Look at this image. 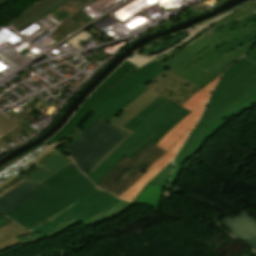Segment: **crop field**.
Wrapping results in <instances>:
<instances>
[{
	"mask_svg": "<svg viewBox=\"0 0 256 256\" xmlns=\"http://www.w3.org/2000/svg\"><path fill=\"white\" fill-rule=\"evenodd\" d=\"M127 61H129V62H131V63H133V64H135V65L141 67V66H143V65H145V64H147V63H149V62H151V61H153V60H150V59H148V58H146V57H143V56H141V55H138V54H136V53H133V54L127 59Z\"/></svg>",
	"mask_w": 256,
	"mask_h": 256,
	"instance_id": "750c4746",
	"label": "crop field"
},
{
	"mask_svg": "<svg viewBox=\"0 0 256 256\" xmlns=\"http://www.w3.org/2000/svg\"><path fill=\"white\" fill-rule=\"evenodd\" d=\"M255 41L252 43L236 50L233 51L227 56L223 57L219 62H217L215 65H213L211 68H209L207 71H205L203 74H201L199 77H197L195 80L192 82L196 83L200 87L204 86L207 84L209 81L214 79L216 76H218L223 68H225L232 60L235 61V59L243 56L249 48L253 45ZM223 71V70H222Z\"/></svg>",
	"mask_w": 256,
	"mask_h": 256,
	"instance_id": "5142ce71",
	"label": "crop field"
},
{
	"mask_svg": "<svg viewBox=\"0 0 256 256\" xmlns=\"http://www.w3.org/2000/svg\"><path fill=\"white\" fill-rule=\"evenodd\" d=\"M79 83H80V81L76 80L74 83L71 84V86L76 87Z\"/></svg>",
	"mask_w": 256,
	"mask_h": 256,
	"instance_id": "e1f06a70",
	"label": "crop field"
},
{
	"mask_svg": "<svg viewBox=\"0 0 256 256\" xmlns=\"http://www.w3.org/2000/svg\"><path fill=\"white\" fill-rule=\"evenodd\" d=\"M237 29L239 28L234 23H232L213 32L212 30H209L211 33H206L200 39L191 43L187 47H184L183 49L168 56L162 57L156 61L190 81L195 76L206 70L211 64L219 60L223 56V54L214 51L205 58H203L201 61L193 65L191 68L183 72L175 70V66L204 48L206 45Z\"/></svg>",
	"mask_w": 256,
	"mask_h": 256,
	"instance_id": "e52e79f7",
	"label": "crop field"
},
{
	"mask_svg": "<svg viewBox=\"0 0 256 256\" xmlns=\"http://www.w3.org/2000/svg\"><path fill=\"white\" fill-rule=\"evenodd\" d=\"M19 127L13 121L0 113V137Z\"/></svg>",
	"mask_w": 256,
	"mask_h": 256,
	"instance_id": "4177f3b9",
	"label": "crop field"
},
{
	"mask_svg": "<svg viewBox=\"0 0 256 256\" xmlns=\"http://www.w3.org/2000/svg\"><path fill=\"white\" fill-rule=\"evenodd\" d=\"M145 86L179 106L200 89L169 69Z\"/></svg>",
	"mask_w": 256,
	"mask_h": 256,
	"instance_id": "5a996713",
	"label": "crop field"
},
{
	"mask_svg": "<svg viewBox=\"0 0 256 256\" xmlns=\"http://www.w3.org/2000/svg\"><path fill=\"white\" fill-rule=\"evenodd\" d=\"M253 2L251 3H248L244 6H247L249 4H252ZM243 6V7H244ZM242 8V7H241ZM240 9V8H239ZM238 10V9H237ZM236 11V10H235ZM234 11L230 12V13H227L225 15H222L220 17H217L215 19H212L208 22H205L201 25H198L196 26L190 33H188L189 37L187 39H185L184 41H182L181 43H179L178 45H176L175 47H173L172 49L168 50L167 52L165 53H162V54H158V55H154V56H150L151 58H154V59H157L163 55H166L168 53H171L183 46H185L186 44L196 40L197 38H199L207 29H209L212 25H214L215 23L221 21L222 19H224L225 17H227L228 15H230L231 13H233ZM187 46V45H186Z\"/></svg>",
	"mask_w": 256,
	"mask_h": 256,
	"instance_id": "214f88e0",
	"label": "crop field"
},
{
	"mask_svg": "<svg viewBox=\"0 0 256 256\" xmlns=\"http://www.w3.org/2000/svg\"><path fill=\"white\" fill-rule=\"evenodd\" d=\"M8 0H0V6H2L5 2H7Z\"/></svg>",
	"mask_w": 256,
	"mask_h": 256,
	"instance_id": "0bd39190",
	"label": "crop field"
},
{
	"mask_svg": "<svg viewBox=\"0 0 256 256\" xmlns=\"http://www.w3.org/2000/svg\"><path fill=\"white\" fill-rule=\"evenodd\" d=\"M7 223H9V222L4 220V219H2V218H0V227L5 225V224H7Z\"/></svg>",
	"mask_w": 256,
	"mask_h": 256,
	"instance_id": "028f5c9d",
	"label": "crop field"
},
{
	"mask_svg": "<svg viewBox=\"0 0 256 256\" xmlns=\"http://www.w3.org/2000/svg\"><path fill=\"white\" fill-rule=\"evenodd\" d=\"M245 57L256 63V43Z\"/></svg>",
	"mask_w": 256,
	"mask_h": 256,
	"instance_id": "120bbe31",
	"label": "crop field"
},
{
	"mask_svg": "<svg viewBox=\"0 0 256 256\" xmlns=\"http://www.w3.org/2000/svg\"><path fill=\"white\" fill-rule=\"evenodd\" d=\"M218 76L213 82L198 91L182 107L191 111L192 113L175 125L156 145L166 150L167 152L149 169L142 178L125 191L119 198L132 201L138 193L149 183L161 170H163L175 157L178 150L186 140L187 136L196 126L201 113L207 103L209 95L218 81Z\"/></svg>",
	"mask_w": 256,
	"mask_h": 256,
	"instance_id": "412701ff",
	"label": "crop field"
},
{
	"mask_svg": "<svg viewBox=\"0 0 256 256\" xmlns=\"http://www.w3.org/2000/svg\"><path fill=\"white\" fill-rule=\"evenodd\" d=\"M165 152L149 142L132 159L127 155L121 159L96 186L119 196L139 180L142 171L149 168Z\"/></svg>",
	"mask_w": 256,
	"mask_h": 256,
	"instance_id": "dd49c442",
	"label": "crop field"
},
{
	"mask_svg": "<svg viewBox=\"0 0 256 256\" xmlns=\"http://www.w3.org/2000/svg\"><path fill=\"white\" fill-rule=\"evenodd\" d=\"M254 104L256 64L242 58L229 67L219 80L199 124L178 152L174 164L180 166L196 153L204 140L224 123V119H229Z\"/></svg>",
	"mask_w": 256,
	"mask_h": 256,
	"instance_id": "34b2d1b8",
	"label": "crop field"
},
{
	"mask_svg": "<svg viewBox=\"0 0 256 256\" xmlns=\"http://www.w3.org/2000/svg\"><path fill=\"white\" fill-rule=\"evenodd\" d=\"M0 217H3V216L0 215Z\"/></svg>",
	"mask_w": 256,
	"mask_h": 256,
	"instance_id": "b80d0937",
	"label": "crop field"
},
{
	"mask_svg": "<svg viewBox=\"0 0 256 256\" xmlns=\"http://www.w3.org/2000/svg\"><path fill=\"white\" fill-rule=\"evenodd\" d=\"M220 222L231 235L241 239L256 252V219L251 214L244 210L232 219L225 216Z\"/></svg>",
	"mask_w": 256,
	"mask_h": 256,
	"instance_id": "3316defc",
	"label": "crop field"
},
{
	"mask_svg": "<svg viewBox=\"0 0 256 256\" xmlns=\"http://www.w3.org/2000/svg\"><path fill=\"white\" fill-rule=\"evenodd\" d=\"M168 100L163 97L157 98L154 102H152L149 106H147L144 110H142L139 114H137L134 118H132L129 122H127L124 128H127L133 131L140 123H142L152 112L161 107Z\"/></svg>",
	"mask_w": 256,
	"mask_h": 256,
	"instance_id": "92a150f3",
	"label": "crop field"
},
{
	"mask_svg": "<svg viewBox=\"0 0 256 256\" xmlns=\"http://www.w3.org/2000/svg\"><path fill=\"white\" fill-rule=\"evenodd\" d=\"M88 6V5H86ZM84 6V7H86ZM83 7V8H84ZM81 10V9H80ZM94 20V18H90L88 15L85 13L79 11L75 15L69 17L68 19L62 21L61 23L63 24L62 26H59L52 34L50 37L56 35L57 37L54 38L53 40L55 41H60L63 39L65 36L70 34L71 32L75 31L76 29L80 28V26H84L90 21Z\"/></svg>",
	"mask_w": 256,
	"mask_h": 256,
	"instance_id": "4a817a6b",
	"label": "crop field"
},
{
	"mask_svg": "<svg viewBox=\"0 0 256 256\" xmlns=\"http://www.w3.org/2000/svg\"><path fill=\"white\" fill-rule=\"evenodd\" d=\"M78 9L75 8L71 3L68 1L63 3L62 5L58 6L56 9H54L53 12L55 15H57L62 20L65 19L67 16L75 13Z\"/></svg>",
	"mask_w": 256,
	"mask_h": 256,
	"instance_id": "00972430",
	"label": "crop field"
},
{
	"mask_svg": "<svg viewBox=\"0 0 256 256\" xmlns=\"http://www.w3.org/2000/svg\"><path fill=\"white\" fill-rule=\"evenodd\" d=\"M190 113L168 101L151 114L133 133L156 144L176 123Z\"/></svg>",
	"mask_w": 256,
	"mask_h": 256,
	"instance_id": "d8731c3e",
	"label": "crop field"
},
{
	"mask_svg": "<svg viewBox=\"0 0 256 256\" xmlns=\"http://www.w3.org/2000/svg\"><path fill=\"white\" fill-rule=\"evenodd\" d=\"M166 69L156 61L141 68L125 61L89 96L67 124L47 141V144L66 138L72 139L73 141L66 148L67 151L92 122L98 118L106 122L110 120L148 91L149 89L143 85Z\"/></svg>",
	"mask_w": 256,
	"mask_h": 256,
	"instance_id": "ac0d7876",
	"label": "crop field"
},
{
	"mask_svg": "<svg viewBox=\"0 0 256 256\" xmlns=\"http://www.w3.org/2000/svg\"><path fill=\"white\" fill-rule=\"evenodd\" d=\"M45 186L23 182L0 198V213L8 215Z\"/></svg>",
	"mask_w": 256,
	"mask_h": 256,
	"instance_id": "22f410ed",
	"label": "crop field"
},
{
	"mask_svg": "<svg viewBox=\"0 0 256 256\" xmlns=\"http://www.w3.org/2000/svg\"><path fill=\"white\" fill-rule=\"evenodd\" d=\"M147 143L148 141L141 137L131 136L87 177L96 185L121 158L126 154L132 157Z\"/></svg>",
	"mask_w": 256,
	"mask_h": 256,
	"instance_id": "28ad6ade",
	"label": "crop field"
},
{
	"mask_svg": "<svg viewBox=\"0 0 256 256\" xmlns=\"http://www.w3.org/2000/svg\"><path fill=\"white\" fill-rule=\"evenodd\" d=\"M171 170H172V163L169 166H167L163 171H161L151 182H154L156 184H159L165 187Z\"/></svg>",
	"mask_w": 256,
	"mask_h": 256,
	"instance_id": "d3111659",
	"label": "crop field"
},
{
	"mask_svg": "<svg viewBox=\"0 0 256 256\" xmlns=\"http://www.w3.org/2000/svg\"><path fill=\"white\" fill-rule=\"evenodd\" d=\"M126 134L98 119L76 140L67 153L73 157L79 170L85 174Z\"/></svg>",
	"mask_w": 256,
	"mask_h": 256,
	"instance_id": "f4fd0767",
	"label": "crop field"
},
{
	"mask_svg": "<svg viewBox=\"0 0 256 256\" xmlns=\"http://www.w3.org/2000/svg\"><path fill=\"white\" fill-rule=\"evenodd\" d=\"M52 174L53 173L37 165H34L30 169H28L22 176L18 174L11 180L0 185V197L9 192L10 190H12L14 187L19 185L23 181L30 183H40L49 176H51Z\"/></svg>",
	"mask_w": 256,
	"mask_h": 256,
	"instance_id": "d9b57169",
	"label": "crop field"
},
{
	"mask_svg": "<svg viewBox=\"0 0 256 256\" xmlns=\"http://www.w3.org/2000/svg\"><path fill=\"white\" fill-rule=\"evenodd\" d=\"M89 0H69V2H71L75 7H77L78 9L80 7H82L86 2H88Z\"/></svg>",
	"mask_w": 256,
	"mask_h": 256,
	"instance_id": "5866460e",
	"label": "crop field"
},
{
	"mask_svg": "<svg viewBox=\"0 0 256 256\" xmlns=\"http://www.w3.org/2000/svg\"><path fill=\"white\" fill-rule=\"evenodd\" d=\"M253 39H256V31L249 33V34H247L241 38H238L234 41H231V42L227 43L226 45L218 48L217 50L226 54L227 52L232 51Z\"/></svg>",
	"mask_w": 256,
	"mask_h": 256,
	"instance_id": "dafd665d",
	"label": "crop field"
},
{
	"mask_svg": "<svg viewBox=\"0 0 256 256\" xmlns=\"http://www.w3.org/2000/svg\"><path fill=\"white\" fill-rule=\"evenodd\" d=\"M40 184L47 187L7 217L51 238L80 222L87 228L115 217L132 205L95 188L74 163Z\"/></svg>",
	"mask_w": 256,
	"mask_h": 256,
	"instance_id": "8a807250",
	"label": "crop field"
},
{
	"mask_svg": "<svg viewBox=\"0 0 256 256\" xmlns=\"http://www.w3.org/2000/svg\"><path fill=\"white\" fill-rule=\"evenodd\" d=\"M242 21H243V23L245 24V28H247V29H249V28H251V27H253V26H255L256 25V21H255V19H253L252 17H247V18H244V19H242Z\"/></svg>",
	"mask_w": 256,
	"mask_h": 256,
	"instance_id": "1d83c4d3",
	"label": "crop field"
},
{
	"mask_svg": "<svg viewBox=\"0 0 256 256\" xmlns=\"http://www.w3.org/2000/svg\"><path fill=\"white\" fill-rule=\"evenodd\" d=\"M29 233H32V231L26 230V231H23V232H20V233L13 234V235H11V236L3 239V240H0V251L18 244L19 242L17 241L16 238L24 236V235L29 234Z\"/></svg>",
	"mask_w": 256,
	"mask_h": 256,
	"instance_id": "a9b5d70f",
	"label": "crop field"
},
{
	"mask_svg": "<svg viewBox=\"0 0 256 256\" xmlns=\"http://www.w3.org/2000/svg\"><path fill=\"white\" fill-rule=\"evenodd\" d=\"M256 30V27L250 29V30H245V29H239L233 33H231L230 35L224 37L223 39L209 45L207 48H205L203 51H201L200 53L196 54L195 56H193L192 58H190L189 60H187L186 62H184L183 64L177 66V69L183 71L184 69H186L188 66H190L191 64H193L195 61L199 60L201 57L205 56L206 54H208L209 52L215 50L216 48L226 44L228 41H231L235 38L241 37L249 32H252Z\"/></svg>",
	"mask_w": 256,
	"mask_h": 256,
	"instance_id": "bc2a9ffb",
	"label": "crop field"
},
{
	"mask_svg": "<svg viewBox=\"0 0 256 256\" xmlns=\"http://www.w3.org/2000/svg\"><path fill=\"white\" fill-rule=\"evenodd\" d=\"M24 133L27 136H32L30 135L28 132H26L24 129H22L21 127H19L18 129L10 132L9 134L5 135L4 137L0 138V146H2L4 149L10 147L7 143H5L3 140L6 139L7 137L12 140L15 144L20 143V141H18L14 136L19 134V133ZM11 141V142H12Z\"/></svg>",
	"mask_w": 256,
	"mask_h": 256,
	"instance_id": "ae1a2a85",
	"label": "crop field"
},
{
	"mask_svg": "<svg viewBox=\"0 0 256 256\" xmlns=\"http://www.w3.org/2000/svg\"><path fill=\"white\" fill-rule=\"evenodd\" d=\"M43 238H45V237H40V236H38V235L32 233V234L26 235V236H24V237L18 238V241L20 242V244H21L22 246H24V245H27V244H29V243H32V242L41 240V239H43Z\"/></svg>",
	"mask_w": 256,
	"mask_h": 256,
	"instance_id": "bd1437ed",
	"label": "crop field"
},
{
	"mask_svg": "<svg viewBox=\"0 0 256 256\" xmlns=\"http://www.w3.org/2000/svg\"><path fill=\"white\" fill-rule=\"evenodd\" d=\"M94 37L92 34H90L88 31H82L79 34L75 35L74 37L70 38L69 40H67L66 42L69 44H72V46L78 50V49H82L83 47L78 45L81 42Z\"/></svg>",
	"mask_w": 256,
	"mask_h": 256,
	"instance_id": "730fd06b",
	"label": "crop field"
},
{
	"mask_svg": "<svg viewBox=\"0 0 256 256\" xmlns=\"http://www.w3.org/2000/svg\"><path fill=\"white\" fill-rule=\"evenodd\" d=\"M65 1L67 0H41L11 23L18 32Z\"/></svg>",
	"mask_w": 256,
	"mask_h": 256,
	"instance_id": "cbeb9de0",
	"label": "crop field"
},
{
	"mask_svg": "<svg viewBox=\"0 0 256 256\" xmlns=\"http://www.w3.org/2000/svg\"><path fill=\"white\" fill-rule=\"evenodd\" d=\"M160 95L148 91L144 95H142L140 98H138L135 102H133L131 105H129L127 108H125L122 112H120L118 115H116L114 118H112L109 123L110 125L119 128L123 131L129 132L125 138H123L111 151H109L96 165H94L91 170L93 171L100 163H102L119 145H121L126 139H128L133 133L129 130H126L122 128L121 126L125 124L128 120H130L133 116H135L138 112H140L142 109H144L147 105H149L152 101H154L157 97ZM139 114V113H138ZM134 118V117H133ZM129 122V121H128ZM124 126V125H123ZM91 171V172H92ZM88 171L85 175H89L91 173Z\"/></svg>",
	"mask_w": 256,
	"mask_h": 256,
	"instance_id": "d1516ede",
	"label": "crop field"
},
{
	"mask_svg": "<svg viewBox=\"0 0 256 256\" xmlns=\"http://www.w3.org/2000/svg\"><path fill=\"white\" fill-rule=\"evenodd\" d=\"M3 218H5V217H3ZM5 219L10 221L11 223L0 228V239L4 238L12 233H16V232L25 230L22 227H20L19 225L13 223L11 220H9L7 218H5Z\"/></svg>",
	"mask_w": 256,
	"mask_h": 256,
	"instance_id": "eef30255",
	"label": "crop field"
},
{
	"mask_svg": "<svg viewBox=\"0 0 256 256\" xmlns=\"http://www.w3.org/2000/svg\"><path fill=\"white\" fill-rule=\"evenodd\" d=\"M180 170H181V169L176 168V167L174 166V171H173V173H172V175H171L170 183H169V186H168V189H169V190H170V187H171V185L173 184L174 180L176 179L177 175L179 174Z\"/></svg>",
	"mask_w": 256,
	"mask_h": 256,
	"instance_id": "d32e631a",
	"label": "crop field"
},
{
	"mask_svg": "<svg viewBox=\"0 0 256 256\" xmlns=\"http://www.w3.org/2000/svg\"><path fill=\"white\" fill-rule=\"evenodd\" d=\"M33 163L55 173L72 163V160L66 154L49 147Z\"/></svg>",
	"mask_w": 256,
	"mask_h": 256,
	"instance_id": "733c2abd",
	"label": "crop field"
}]
</instances>
